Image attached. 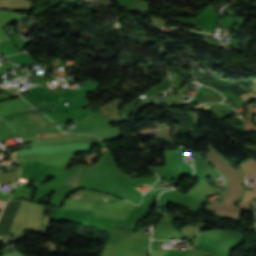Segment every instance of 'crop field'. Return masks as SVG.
<instances>
[{"mask_svg":"<svg viewBox=\"0 0 256 256\" xmlns=\"http://www.w3.org/2000/svg\"><path fill=\"white\" fill-rule=\"evenodd\" d=\"M4 205H5V202H1V201H0V209H1V210L3 209Z\"/></svg>","mask_w":256,"mask_h":256,"instance_id":"8a807250","label":"crop field"}]
</instances>
